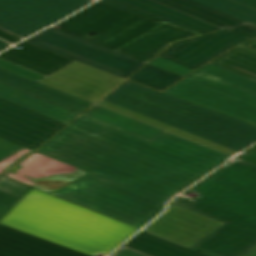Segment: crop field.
I'll return each instance as SVG.
<instances>
[{"label":"crop field","instance_id":"crop-field-31","mask_svg":"<svg viewBox=\"0 0 256 256\" xmlns=\"http://www.w3.org/2000/svg\"><path fill=\"white\" fill-rule=\"evenodd\" d=\"M0 129L43 145L49 138L27 131L0 120Z\"/></svg>","mask_w":256,"mask_h":256},{"label":"crop field","instance_id":"crop-field-37","mask_svg":"<svg viewBox=\"0 0 256 256\" xmlns=\"http://www.w3.org/2000/svg\"><path fill=\"white\" fill-rule=\"evenodd\" d=\"M0 138L8 140L10 142H13L15 144L21 145L27 149H30L32 151L39 148L41 145L33 143L31 141L25 140L23 138H20L18 136L12 135L10 133H7L5 131L0 130Z\"/></svg>","mask_w":256,"mask_h":256},{"label":"crop field","instance_id":"crop-field-50","mask_svg":"<svg viewBox=\"0 0 256 256\" xmlns=\"http://www.w3.org/2000/svg\"><path fill=\"white\" fill-rule=\"evenodd\" d=\"M0 178H1V176H0Z\"/></svg>","mask_w":256,"mask_h":256},{"label":"crop field","instance_id":"crop-field-27","mask_svg":"<svg viewBox=\"0 0 256 256\" xmlns=\"http://www.w3.org/2000/svg\"><path fill=\"white\" fill-rule=\"evenodd\" d=\"M197 73L256 95L255 81L223 70L211 64L203 67Z\"/></svg>","mask_w":256,"mask_h":256},{"label":"crop field","instance_id":"crop-field-21","mask_svg":"<svg viewBox=\"0 0 256 256\" xmlns=\"http://www.w3.org/2000/svg\"><path fill=\"white\" fill-rule=\"evenodd\" d=\"M84 116L113 126L120 130L126 131L128 133L134 134L149 141L153 140L154 138L165 132L163 130L131 119L119 113L100 107L98 105H96L86 114H84Z\"/></svg>","mask_w":256,"mask_h":256},{"label":"crop field","instance_id":"crop-field-49","mask_svg":"<svg viewBox=\"0 0 256 256\" xmlns=\"http://www.w3.org/2000/svg\"><path fill=\"white\" fill-rule=\"evenodd\" d=\"M102 35H100V36H98V37H96V38H94L93 40H95V39H97V38H99V37H101ZM87 37V36H86ZM89 38V37H88Z\"/></svg>","mask_w":256,"mask_h":256},{"label":"crop field","instance_id":"crop-field-28","mask_svg":"<svg viewBox=\"0 0 256 256\" xmlns=\"http://www.w3.org/2000/svg\"><path fill=\"white\" fill-rule=\"evenodd\" d=\"M0 97L38 112L42 115L46 114L56 106L2 83H0Z\"/></svg>","mask_w":256,"mask_h":256},{"label":"crop field","instance_id":"crop-field-48","mask_svg":"<svg viewBox=\"0 0 256 256\" xmlns=\"http://www.w3.org/2000/svg\"><path fill=\"white\" fill-rule=\"evenodd\" d=\"M5 216V214L0 213V221L2 220V218Z\"/></svg>","mask_w":256,"mask_h":256},{"label":"crop field","instance_id":"crop-field-26","mask_svg":"<svg viewBox=\"0 0 256 256\" xmlns=\"http://www.w3.org/2000/svg\"><path fill=\"white\" fill-rule=\"evenodd\" d=\"M98 105L106 107V108L111 109L113 111L119 112V113L124 114L126 116L132 117V118L137 119L139 121H142L144 123L150 124V125L155 126L157 128L163 129L165 131H169V132L174 133L176 135L182 136L184 138H187V139L192 140L194 142L200 143L202 145H205V146L210 147L212 149H215L217 151L223 152V153L228 154L230 156L237 153L235 151L229 150V149L224 148L222 146H219L217 144L211 143V142L206 141L204 139L198 138V137L193 136L191 134H188L186 132L180 131V130L175 129L173 127L167 126V125L162 124L160 122H157L155 120H152V119H149L147 117L141 116L139 114L133 113L131 111L122 109L120 107L114 106V105L106 103L104 101L100 102Z\"/></svg>","mask_w":256,"mask_h":256},{"label":"crop field","instance_id":"crop-field-18","mask_svg":"<svg viewBox=\"0 0 256 256\" xmlns=\"http://www.w3.org/2000/svg\"><path fill=\"white\" fill-rule=\"evenodd\" d=\"M0 82L81 114L93 103L0 68Z\"/></svg>","mask_w":256,"mask_h":256},{"label":"crop field","instance_id":"crop-field-39","mask_svg":"<svg viewBox=\"0 0 256 256\" xmlns=\"http://www.w3.org/2000/svg\"><path fill=\"white\" fill-rule=\"evenodd\" d=\"M22 149L24 148L21 146L0 139V161L12 156L13 154L21 151Z\"/></svg>","mask_w":256,"mask_h":256},{"label":"crop field","instance_id":"crop-field-42","mask_svg":"<svg viewBox=\"0 0 256 256\" xmlns=\"http://www.w3.org/2000/svg\"><path fill=\"white\" fill-rule=\"evenodd\" d=\"M238 159H241L243 161L256 165V148L246 152L245 154L240 156Z\"/></svg>","mask_w":256,"mask_h":256},{"label":"crop field","instance_id":"crop-field-14","mask_svg":"<svg viewBox=\"0 0 256 256\" xmlns=\"http://www.w3.org/2000/svg\"><path fill=\"white\" fill-rule=\"evenodd\" d=\"M164 93L256 126V107L188 82L183 81Z\"/></svg>","mask_w":256,"mask_h":256},{"label":"crop field","instance_id":"crop-field-29","mask_svg":"<svg viewBox=\"0 0 256 256\" xmlns=\"http://www.w3.org/2000/svg\"><path fill=\"white\" fill-rule=\"evenodd\" d=\"M185 81H188L190 83L199 85L201 87L210 89L212 91L221 93L223 95H226L234 99L256 106V96L248 94L241 90L235 89L228 85L222 84L220 82L211 80L209 78L203 77L197 73L188 77Z\"/></svg>","mask_w":256,"mask_h":256},{"label":"crop field","instance_id":"crop-field-45","mask_svg":"<svg viewBox=\"0 0 256 256\" xmlns=\"http://www.w3.org/2000/svg\"><path fill=\"white\" fill-rule=\"evenodd\" d=\"M241 47L256 52V40L253 41V42H250V43H248V44H246V45H243V46H241Z\"/></svg>","mask_w":256,"mask_h":256},{"label":"crop field","instance_id":"crop-field-47","mask_svg":"<svg viewBox=\"0 0 256 256\" xmlns=\"http://www.w3.org/2000/svg\"><path fill=\"white\" fill-rule=\"evenodd\" d=\"M246 256H256V249L253 250L251 253H249V254L246 255Z\"/></svg>","mask_w":256,"mask_h":256},{"label":"crop field","instance_id":"crop-field-7","mask_svg":"<svg viewBox=\"0 0 256 256\" xmlns=\"http://www.w3.org/2000/svg\"><path fill=\"white\" fill-rule=\"evenodd\" d=\"M26 41L124 79L145 64L54 28Z\"/></svg>","mask_w":256,"mask_h":256},{"label":"crop field","instance_id":"crop-field-41","mask_svg":"<svg viewBox=\"0 0 256 256\" xmlns=\"http://www.w3.org/2000/svg\"><path fill=\"white\" fill-rule=\"evenodd\" d=\"M114 256H150V255H147L145 253L139 252L137 250H134L128 247H124Z\"/></svg>","mask_w":256,"mask_h":256},{"label":"crop field","instance_id":"crop-field-6","mask_svg":"<svg viewBox=\"0 0 256 256\" xmlns=\"http://www.w3.org/2000/svg\"><path fill=\"white\" fill-rule=\"evenodd\" d=\"M163 23L98 1L54 28L116 51ZM93 31L104 36L84 37Z\"/></svg>","mask_w":256,"mask_h":256},{"label":"crop field","instance_id":"crop-field-34","mask_svg":"<svg viewBox=\"0 0 256 256\" xmlns=\"http://www.w3.org/2000/svg\"><path fill=\"white\" fill-rule=\"evenodd\" d=\"M45 116L50 117L54 120H57L59 122H62L64 124L68 125L76 117H78L79 114L57 106L53 110L48 112Z\"/></svg>","mask_w":256,"mask_h":256},{"label":"crop field","instance_id":"crop-field-4","mask_svg":"<svg viewBox=\"0 0 256 256\" xmlns=\"http://www.w3.org/2000/svg\"><path fill=\"white\" fill-rule=\"evenodd\" d=\"M52 195L141 229L165 205L91 174Z\"/></svg>","mask_w":256,"mask_h":256},{"label":"crop field","instance_id":"crop-field-46","mask_svg":"<svg viewBox=\"0 0 256 256\" xmlns=\"http://www.w3.org/2000/svg\"><path fill=\"white\" fill-rule=\"evenodd\" d=\"M10 46L8 43H5L3 41L0 40V51L6 47Z\"/></svg>","mask_w":256,"mask_h":256},{"label":"crop field","instance_id":"crop-field-23","mask_svg":"<svg viewBox=\"0 0 256 256\" xmlns=\"http://www.w3.org/2000/svg\"><path fill=\"white\" fill-rule=\"evenodd\" d=\"M125 246L153 256H205L145 232L141 233Z\"/></svg>","mask_w":256,"mask_h":256},{"label":"crop field","instance_id":"crop-field-36","mask_svg":"<svg viewBox=\"0 0 256 256\" xmlns=\"http://www.w3.org/2000/svg\"><path fill=\"white\" fill-rule=\"evenodd\" d=\"M27 189L28 187L8 179L3 178L0 180V190L6 191L18 197L22 196Z\"/></svg>","mask_w":256,"mask_h":256},{"label":"crop field","instance_id":"crop-field-17","mask_svg":"<svg viewBox=\"0 0 256 256\" xmlns=\"http://www.w3.org/2000/svg\"><path fill=\"white\" fill-rule=\"evenodd\" d=\"M197 36L201 35L165 23L117 52L147 63L173 42Z\"/></svg>","mask_w":256,"mask_h":256},{"label":"crop field","instance_id":"crop-field-44","mask_svg":"<svg viewBox=\"0 0 256 256\" xmlns=\"http://www.w3.org/2000/svg\"><path fill=\"white\" fill-rule=\"evenodd\" d=\"M0 38L4 39L12 44L20 40V39L14 37L12 35H9L3 31H0Z\"/></svg>","mask_w":256,"mask_h":256},{"label":"crop field","instance_id":"crop-field-2","mask_svg":"<svg viewBox=\"0 0 256 256\" xmlns=\"http://www.w3.org/2000/svg\"><path fill=\"white\" fill-rule=\"evenodd\" d=\"M0 224L90 256L109 255L139 231L34 188Z\"/></svg>","mask_w":256,"mask_h":256},{"label":"crop field","instance_id":"crop-field-32","mask_svg":"<svg viewBox=\"0 0 256 256\" xmlns=\"http://www.w3.org/2000/svg\"><path fill=\"white\" fill-rule=\"evenodd\" d=\"M150 64L165 69L167 71L179 74L181 76H188L190 73L193 72V70H190L188 68L182 67L180 65H177L175 63L169 62L167 60L161 59L159 57L155 58Z\"/></svg>","mask_w":256,"mask_h":256},{"label":"crop field","instance_id":"crop-field-10","mask_svg":"<svg viewBox=\"0 0 256 256\" xmlns=\"http://www.w3.org/2000/svg\"><path fill=\"white\" fill-rule=\"evenodd\" d=\"M89 173L36 152L6 177L51 194Z\"/></svg>","mask_w":256,"mask_h":256},{"label":"crop field","instance_id":"crop-field-13","mask_svg":"<svg viewBox=\"0 0 256 256\" xmlns=\"http://www.w3.org/2000/svg\"><path fill=\"white\" fill-rule=\"evenodd\" d=\"M245 40L224 30L175 43L159 57L195 70Z\"/></svg>","mask_w":256,"mask_h":256},{"label":"crop field","instance_id":"crop-field-15","mask_svg":"<svg viewBox=\"0 0 256 256\" xmlns=\"http://www.w3.org/2000/svg\"><path fill=\"white\" fill-rule=\"evenodd\" d=\"M204 35L223 30L152 0H100Z\"/></svg>","mask_w":256,"mask_h":256},{"label":"crop field","instance_id":"crop-field-19","mask_svg":"<svg viewBox=\"0 0 256 256\" xmlns=\"http://www.w3.org/2000/svg\"><path fill=\"white\" fill-rule=\"evenodd\" d=\"M18 46L21 48L17 50L16 46L1 54L0 58L46 76L74 62L26 41Z\"/></svg>","mask_w":256,"mask_h":256},{"label":"crop field","instance_id":"crop-field-22","mask_svg":"<svg viewBox=\"0 0 256 256\" xmlns=\"http://www.w3.org/2000/svg\"><path fill=\"white\" fill-rule=\"evenodd\" d=\"M159 3L165 4L189 15L207 21L211 24L219 26L223 29L247 24L233 17L215 11L211 8L193 2L191 0H154Z\"/></svg>","mask_w":256,"mask_h":256},{"label":"crop field","instance_id":"crop-field-24","mask_svg":"<svg viewBox=\"0 0 256 256\" xmlns=\"http://www.w3.org/2000/svg\"><path fill=\"white\" fill-rule=\"evenodd\" d=\"M211 64L256 81V55L239 47Z\"/></svg>","mask_w":256,"mask_h":256},{"label":"crop field","instance_id":"crop-field-40","mask_svg":"<svg viewBox=\"0 0 256 256\" xmlns=\"http://www.w3.org/2000/svg\"><path fill=\"white\" fill-rule=\"evenodd\" d=\"M228 31L233 32L235 34H238V35H240L242 37H245L247 39H251V38L256 37V26H254L252 24H248V25L228 29Z\"/></svg>","mask_w":256,"mask_h":256},{"label":"crop field","instance_id":"crop-field-1","mask_svg":"<svg viewBox=\"0 0 256 256\" xmlns=\"http://www.w3.org/2000/svg\"><path fill=\"white\" fill-rule=\"evenodd\" d=\"M37 152L164 204L231 158L169 132L149 142L84 116Z\"/></svg>","mask_w":256,"mask_h":256},{"label":"crop field","instance_id":"crop-field-12","mask_svg":"<svg viewBox=\"0 0 256 256\" xmlns=\"http://www.w3.org/2000/svg\"><path fill=\"white\" fill-rule=\"evenodd\" d=\"M170 206V211L145 232L188 248L222 224L172 204Z\"/></svg>","mask_w":256,"mask_h":256},{"label":"crop field","instance_id":"crop-field-11","mask_svg":"<svg viewBox=\"0 0 256 256\" xmlns=\"http://www.w3.org/2000/svg\"><path fill=\"white\" fill-rule=\"evenodd\" d=\"M123 81L75 62L48 76L41 83L95 103Z\"/></svg>","mask_w":256,"mask_h":256},{"label":"crop field","instance_id":"crop-field-33","mask_svg":"<svg viewBox=\"0 0 256 256\" xmlns=\"http://www.w3.org/2000/svg\"><path fill=\"white\" fill-rule=\"evenodd\" d=\"M0 67L7 69L9 71L15 72L17 74H20L22 76H25L27 78H30L32 80H35L37 82L44 79L46 76L38 74L36 72H33L31 70L25 69L23 67H20L18 65L12 64L10 62H7L5 60L0 59Z\"/></svg>","mask_w":256,"mask_h":256},{"label":"crop field","instance_id":"crop-field-5","mask_svg":"<svg viewBox=\"0 0 256 256\" xmlns=\"http://www.w3.org/2000/svg\"><path fill=\"white\" fill-rule=\"evenodd\" d=\"M191 191L193 201L252 222L242 230L256 235V166L235 159Z\"/></svg>","mask_w":256,"mask_h":256},{"label":"crop field","instance_id":"crop-field-9","mask_svg":"<svg viewBox=\"0 0 256 256\" xmlns=\"http://www.w3.org/2000/svg\"><path fill=\"white\" fill-rule=\"evenodd\" d=\"M172 204L224 223L190 248L210 256H245L256 248V236L240 230L250 222L182 197Z\"/></svg>","mask_w":256,"mask_h":256},{"label":"crop field","instance_id":"crop-field-20","mask_svg":"<svg viewBox=\"0 0 256 256\" xmlns=\"http://www.w3.org/2000/svg\"><path fill=\"white\" fill-rule=\"evenodd\" d=\"M0 119L51 138L66 125L0 98Z\"/></svg>","mask_w":256,"mask_h":256},{"label":"crop field","instance_id":"crop-field-38","mask_svg":"<svg viewBox=\"0 0 256 256\" xmlns=\"http://www.w3.org/2000/svg\"><path fill=\"white\" fill-rule=\"evenodd\" d=\"M20 200V198L0 191V212L7 214Z\"/></svg>","mask_w":256,"mask_h":256},{"label":"crop field","instance_id":"crop-field-35","mask_svg":"<svg viewBox=\"0 0 256 256\" xmlns=\"http://www.w3.org/2000/svg\"><path fill=\"white\" fill-rule=\"evenodd\" d=\"M30 153H32V151L25 149L13 155L12 157L0 162V175L3 176L7 171H9L11 168L17 165L21 160H23Z\"/></svg>","mask_w":256,"mask_h":256},{"label":"crop field","instance_id":"crop-field-8","mask_svg":"<svg viewBox=\"0 0 256 256\" xmlns=\"http://www.w3.org/2000/svg\"><path fill=\"white\" fill-rule=\"evenodd\" d=\"M93 0H0V30L20 39Z\"/></svg>","mask_w":256,"mask_h":256},{"label":"crop field","instance_id":"crop-field-3","mask_svg":"<svg viewBox=\"0 0 256 256\" xmlns=\"http://www.w3.org/2000/svg\"><path fill=\"white\" fill-rule=\"evenodd\" d=\"M104 101L237 152L256 142V127L129 81Z\"/></svg>","mask_w":256,"mask_h":256},{"label":"crop field","instance_id":"crop-field-30","mask_svg":"<svg viewBox=\"0 0 256 256\" xmlns=\"http://www.w3.org/2000/svg\"><path fill=\"white\" fill-rule=\"evenodd\" d=\"M220 12L256 25V11L228 0H194Z\"/></svg>","mask_w":256,"mask_h":256},{"label":"crop field","instance_id":"crop-field-16","mask_svg":"<svg viewBox=\"0 0 256 256\" xmlns=\"http://www.w3.org/2000/svg\"><path fill=\"white\" fill-rule=\"evenodd\" d=\"M0 256H87L0 225Z\"/></svg>","mask_w":256,"mask_h":256},{"label":"crop field","instance_id":"crop-field-43","mask_svg":"<svg viewBox=\"0 0 256 256\" xmlns=\"http://www.w3.org/2000/svg\"><path fill=\"white\" fill-rule=\"evenodd\" d=\"M231 1L256 10V0H231Z\"/></svg>","mask_w":256,"mask_h":256},{"label":"crop field","instance_id":"crop-field-25","mask_svg":"<svg viewBox=\"0 0 256 256\" xmlns=\"http://www.w3.org/2000/svg\"><path fill=\"white\" fill-rule=\"evenodd\" d=\"M182 79L183 77L181 76L156 68L150 64L129 78V80L138 82L160 92Z\"/></svg>","mask_w":256,"mask_h":256}]
</instances>
